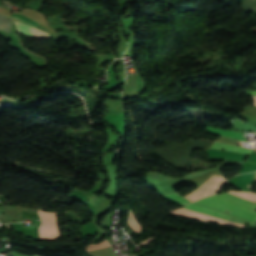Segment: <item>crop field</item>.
I'll list each match as a JSON object with an SVG mask.
<instances>
[{"instance_id":"f4fd0767","label":"crop field","mask_w":256,"mask_h":256,"mask_svg":"<svg viewBox=\"0 0 256 256\" xmlns=\"http://www.w3.org/2000/svg\"><path fill=\"white\" fill-rule=\"evenodd\" d=\"M210 148L234 151V152L245 153V154H249L252 151V150L244 149L234 145L219 143L217 141Z\"/></svg>"},{"instance_id":"ac0d7876","label":"crop field","mask_w":256,"mask_h":256,"mask_svg":"<svg viewBox=\"0 0 256 256\" xmlns=\"http://www.w3.org/2000/svg\"><path fill=\"white\" fill-rule=\"evenodd\" d=\"M41 218V225L39 226L40 239H57L60 236L57 225L56 212L47 213L38 210Z\"/></svg>"},{"instance_id":"d1516ede","label":"crop field","mask_w":256,"mask_h":256,"mask_svg":"<svg viewBox=\"0 0 256 256\" xmlns=\"http://www.w3.org/2000/svg\"><path fill=\"white\" fill-rule=\"evenodd\" d=\"M152 239H154V238H148L147 240H145L144 242L140 243L139 245H145V244L151 242Z\"/></svg>"},{"instance_id":"5a996713","label":"crop field","mask_w":256,"mask_h":256,"mask_svg":"<svg viewBox=\"0 0 256 256\" xmlns=\"http://www.w3.org/2000/svg\"><path fill=\"white\" fill-rule=\"evenodd\" d=\"M244 12L247 11H254V14H256V0H244Z\"/></svg>"},{"instance_id":"34b2d1b8","label":"crop field","mask_w":256,"mask_h":256,"mask_svg":"<svg viewBox=\"0 0 256 256\" xmlns=\"http://www.w3.org/2000/svg\"><path fill=\"white\" fill-rule=\"evenodd\" d=\"M17 26H18V29L20 32H24V33H28V34H33V35H37V36H42V37H50L49 34L39 30V29H36L32 26H29L27 24H24V23H20V22H16ZM15 24V25H16ZM16 26V27H17ZM28 34H25V36L27 37H30V38H35V39H40L42 37H37V36H33V35H28Z\"/></svg>"},{"instance_id":"e52e79f7","label":"crop field","mask_w":256,"mask_h":256,"mask_svg":"<svg viewBox=\"0 0 256 256\" xmlns=\"http://www.w3.org/2000/svg\"><path fill=\"white\" fill-rule=\"evenodd\" d=\"M162 197L176 203V204H179V205H182V204H186V203H189L188 200L184 199L183 197H181L180 195L176 194V193H173V194H167V195H162Z\"/></svg>"},{"instance_id":"8a807250","label":"crop field","mask_w":256,"mask_h":256,"mask_svg":"<svg viewBox=\"0 0 256 256\" xmlns=\"http://www.w3.org/2000/svg\"><path fill=\"white\" fill-rule=\"evenodd\" d=\"M201 203L211 208L225 211L256 223V203L224 193L204 198Z\"/></svg>"},{"instance_id":"d8731c3e","label":"crop field","mask_w":256,"mask_h":256,"mask_svg":"<svg viewBox=\"0 0 256 256\" xmlns=\"http://www.w3.org/2000/svg\"><path fill=\"white\" fill-rule=\"evenodd\" d=\"M127 223L136 233H140L142 226H140L138 224L137 220L133 217L131 210H130V214L128 216Z\"/></svg>"},{"instance_id":"412701ff","label":"crop field","mask_w":256,"mask_h":256,"mask_svg":"<svg viewBox=\"0 0 256 256\" xmlns=\"http://www.w3.org/2000/svg\"><path fill=\"white\" fill-rule=\"evenodd\" d=\"M185 208H188V209H190L192 211H195V212L209 214V215L217 216V217L224 218V219H226L228 217V215H225L223 213H220V212H217V211L199 206V205L194 204V203H191V204L185 206Z\"/></svg>"},{"instance_id":"28ad6ade","label":"crop field","mask_w":256,"mask_h":256,"mask_svg":"<svg viewBox=\"0 0 256 256\" xmlns=\"http://www.w3.org/2000/svg\"><path fill=\"white\" fill-rule=\"evenodd\" d=\"M11 17L18 18V19H20V20H22V21H24V22H26V23H28V24H32V25H35V26L38 25V23H36V22L30 20L29 18H27V17H25V16H23V15H21V14H14V15H12Z\"/></svg>"},{"instance_id":"22f410ed","label":"crop field","mask_w":256,"mask_h":256,"mask_svg":"<svg viewBox=\"0 0 256 256\" xmlns=\"http://www.w3.org/2000/svg\"><path fill=\"white\" fill-rule=\"evenodd\" d=\"M248 95H256V91H247Z\"/></svg>"},{"instance_id":"dd49c442","label":"crop field","mask_w":256,"mask_h":256,"mask_svg":"<svg viewBox=\"0 0 256 256\" xmlns=\"http://www.w3.org/2000/svg\"><path fill=\"white\" fill-rule=\"evenodd\" d=\"M206 132L215 133V134H219V135H225V136L245 140V138H242L243 134L237 133V132H234V131H228V130H222V129H215V128L207 127Z\"/></svg>"},{"instance_id":"3316defc","label":"crop field","mask_w":256,"mask_h":256,"mask_svg":"<svg viewBox=\"0 0 256 256\" xmlns=\"http://www.w3.org/2000/svg\"><path fill=\"white\" fill-rule=\"evenodd\" d=\"M89 245V244H88ZM109 243L107 242L106 238L100 242V243H97V244H92V245H89L87 246V249L86 251H89V250H95V249H101V248H105V247H109Z\"/></svg>"}]
</instances>
